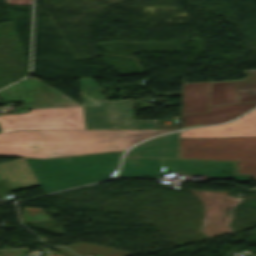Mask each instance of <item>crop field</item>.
Wrapping results in <instances>:
<instances>
[{
	"mask_svg": "<svg viewBox=\"0 0 256 256\" xmlns=\"http://www.w3.org/2000/svg\"><path fill=\"white\" fill-rule=\"evenodd\" d=\"M2 132L15 129H85L82 107L0 116Z\"/></svg>",
	"mask_w": 256,
	"mask_h": 256,
	"instance_id": "crop-field-6",
	"label": "crop field"
},
{
	"mask_svg": "<svg viewBox=\"0 0 256 256\" xmlns=\"http://www.w3.org/2000/svg\"><path fill=\"white\" fill-rule=\"evenodd\" d=\"M86 129H109L106 101L90 100L81 93Z\"/></svg>",
	"mask_w": 256,
	"mask_h": 256,
	"instance_id": "crop-field-15",
	"label": "crop field"
},
{
	"mask_svg": "<svg viewBox=\"0 0 256 256\" xmlns=\"http://www.w3.org/2000/svg\"><path fill=\"white\" fill-rule=\"evenodd\" d=\"M241 82L212 83L210 106L256 101V71ZM209 82L183 84L182 114L208 111Z\"/></svg>",
	"mask_w": 256,
	"mask_h": 256,
	"instance_id": "crop-field-4",
	"label": "crop field"
},
{
	"mask_svg": "<svg viewBox=\"0 0 256 256\" xmlns=\"http://www.w3.org/2000/svg\"><path fill=\"white\" fill-rule=\"evenodd\" d=\"M182 91L158 93L153 91L154 97L181 96Z\"/></svg>",
	"mask_w": 256,
	"mask_h": 256,
	"instance_id": "crop-field-19",
	"label": "crop field"
},
{
	"mask_svg": "<svg viewBox=\"0 0 256 256\" xmlns=\"http://www.w3.org/2000/svg\"><path fill=\"white\" fill-rule=\"evenodd\" d=\"M1 132V131H0Z\"/></svg>",
	"mask_w": 256,
	"mask_h": 256,
	"instance_id": "crop-field-23",
	"label": "crop field"
},
{
	"mask_svg": "<svg viewBox=\"0 0 256 256\" xmlns=\"http://www.w3.org/2000/svg\"><path fill=\"white\" fill-rule=\"evenodd\" d=\"M254 191H256V188L255 189H253Z\"/></svg>",
	"mask_w": 256,
	"mask_h": 256,
	"instance_id": "crop-field-22",
	"label": "crop field"
},
{
	"mask_svg": "<svg viewBox=\"0 0 256 256\" xmlns=\"http://www.w3.org/2000/svg\"><path fill=\"white\" fill-rule=\"evenodd\" d=\"M81 81V91H83L86 95L93 97L95 99H105L104 95L100 91L98 87L94 85L90 78L80 79Z\"/></svg>",
	"mask_w": 256,
	"mask_h": 256,
	"instance_id": "crop-field-18",
	"label": "crop field"
},
{
	"mask_svg": "<svg viewBox=\"0 0 256 256\" xmlns=\"http://www.w3.org/2000/svg\"><path fill=\"white\" fill-rule=\"evenodd\" d=\"M0 155L47 158L42 132L0 133Z\"/></svg>",
	"mask_w": 256,
	"mask_h": 256,
	"instance_id": "crop-field-8",
	"label": "crop field"
},
{
	"mask_svg": "<svg viewBox=\"0 0 256 256\" xmlns=\"http://www.w3.org/2000/svg\"><path fill=\"white\" fill-rule=\"evenodd\" d=\"M50 256H65V255L60 253V254H57V255H50Z\"/></svg>",
	"mask_w": 256,
	"mask_h": 256,
	"instance_id": "crop-field-21",
	"label": "crop field"
},
{
	"mask_svg": "<svg viewBox=\"0 0 256 256\" xmlns=\"http://www.w3.org/2000/svg\"><path fill=\"white\" fill-rule=\"evenodd\" d=\"M29 77L19 81L21 84L17 82L0 91L1 102L22 101L23 106L20 108H35L29 112L80 106L39 80Z\"/></svg>",
	"mask_w": 256,
	"mask_h": 256,
	"instance_id": "crop-field-5",
	"label": "crop field"
},
{
	"mask_svg": "<svg viewBox=\"0 0 256 256\" xmlns=\"http://www.w3.org/2000/svg\"><path fill=\"white\" fill-rule=\"evenodd\" d=\"M180 158L236 160L238 173L256 179V137L182 139Z\"/></svg>",
	"mask_w": 256,
	"mask_h": 256,
	"instance_id": "crop-field-3",
	"label": "crop field"
},
{
	"mask_svg": "<svg viewBox=\"0 0 256 256\" xmlns=\"http://www.w3.org/2000/svg\"><path fill=\"white\" fill-rule=\"evenodd\" d=\"M1 180L7 181L12 192L37 185L36 180L22 158L0 164Z\"/></svg>",
	"mask_w": 256,
	"mask_h": 256,
	"instance_id": "crop-field-13",
	"label": "crop field"
},
{
	"mask_svg": "<svg viewBox=\"0 0 256 256\" xmlns=\"http://www.w3.org/2000/svg\"><path fill=\"white\" fill-rule=\"evenodd\" d=\"M56 250H58V251L64 253V254L67 255V256H78V255L74 254L73 252H71V251H69L68 249L63 248V247L56 248Z\"/></svg>",
	"mask_w": 256,
	"mask_h": 256,
	"instance_id": "crop-field-20",
	"label": "crop field"
},
{
	"mask_svg": "<svg viewBox=\"0 0 256 256\" xmlns=\"http://www.w3.org/2000/svg\"><path fill=\"white\" fill-rule=\"evenodd\" d=\"M120 153L24 160L38 184L48 193L114 176L120 162Z\"/></svg>",
	"mask_w": 256,
	"mask_h": 256,
	"instance_id": "crop-field-1",
	"label": "crop field"
},
{
	"mask_svg": "<svg viewBox=\"0 0 256 256\" xmlns=\"http://www.w3.org/2000/svg\"><path fill=\"white\" fill-rule=\"evenodd\" d=\"M110 129H156L158 120L134 121L132 99L107 101Z\"/></svg>",
	"mask_w": 256,
	"mask_h": 256,
	"instance_id": "crop-field-10",
	"label": "crop field"
},
{
	"mask_svg": "<svg viewBox=\"0 0 256 256\" xmlns=\"http://www.w3.org/2000/svg\"><path fill=\"white\" fill-rule=\"evenodd\" d=\"M169 172L208 175V178L236 179L237 182L250 180V176L235 174V162L163 159L161 173Z\"/></svg>",
	"mask_w": 256,
	"mask_h": 256,
	"instance_id": "crop-field-7",
	"label": "crop field"
},
{
	"mask_svg": "<svg viewBox=\"0 0 256 256\" xmlns=\"http://www.w3.org/2000/svg\"><path fill=\"white\" fill-rule=\"evenodd\" d=\"M256 106V103L210 107L209 113L182 115L183 128L228 121Z\"/></svg>",
	"mask_w": 256,
	"mask_h": 256,
	"instance_id": "crop-field-12",
	"label": "crop field"
},
{
	"mask_svg": "<svg viewBox=\"0 0 256 256\" xmlns=\"http://www.w3.org/2000/svg\"><path fill=\"white\" fill-rule=\"evenodd\" d=\"M170 131L173 130H70L42 132L48 158H52L124 150L145 138Z\"/></svg>",
	"mask_w": 256,
	"mask_h": 256,
	"instance_id": "crop-field-2",
	"label": "crop field"
},
{
	"mask_svg": "<svg viewBox=\"0 0 256 256\" xmlns=\"http://www.w3.org/2000/svg\"><path fill=\"white\" fill-rule=\"evenodd\" d=\"M23 223H31L43 220H49L42 208L23 207L22 209Z\"/></svg>",
	"mask_w": 256,
	"mask_h": 256,
	"instance_id": "crop-field-17",
	"label": "crop field"
},
{
	"mask_svg": "<svg viewBox=\"0 0 256 256\" xmlns=\"http://www.w3.org/2000/svg\"><path fill=\"white\" fill-rule=\"evenodd\" d=\"M178 132L147 140L127 152L126 156L179 158Z\"/></svg>",
	"mask_w": 256,
	"mask_h": 256,
	"instance_id": "crop-field-11",
	"label": "crop field"
},
{
	"mask_svg": "<svg viewBox=\"0 0 256 256\" xmlns=\"http://www.w3.org/2000/svg\"><path fill=\"white\" fill-rule=\"evenodd\" d=\"M162 159L125 158L119 177L139 178L140 175H160Z\"/></svg>",
	"mask_w": 256,
	"mask_h": 256,
	"instance_id": "crop-field-14",
	"label": "crop field"
},
{
	"mask_svg": "<svg viewBox=\"0 0 256 256\" xmlns=\"http://www.w3.org/2000/svg\"><path fill=\"white\" fill-rule=\"evenodd\" d=\"M249 136H256V110L229 124L184 131L180 138Z\"/></svg>",
	"mask_w": 256,
	"mask_h": 256,
	"instance_id": "crop-field-9",
	"label": "crop field"
},
{
	"mask_svg": "<svg viewBox=\"0 0 256 256\" xmlns=\"http://www.w3.org/2000/svg\"><path fill=\"white\" fill-rule=\"evenodd\" d=\"M68 248L72 249L78 255H89V254H101L102 256H127L132 255L100 246H96L89 243H76Z\"/></svg>",
	"mask_w": 256,
	"mask_h": 256,
	"instance_id": "crop-field-16",
	"label": "crop field"
}]
</instances>
